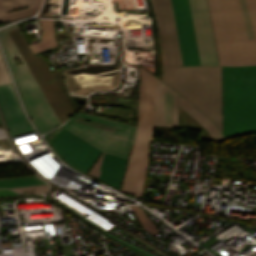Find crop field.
I'll use <instances>...</instances> for the list:
<instances>
[{
	"label": "crop field",
	"instance_id": "412701ff",
	"mask_svg": "<svg viewBox=\"0 0 256 256\" xmlns=\"http://www.w3.org/2000/svg\"><path fill=\"white\" fill-rule=\"evenodd\" d=\"M202 65H219L206 0H189ZM188 0H171L184 65H201Z\"/></svg>",
	"mask_w": 256,
	"mask_h": 256
},
{
	"label": "crop field",
	"instance_id": "8a807250",
	"mask_svg": "<svg viewBox=\"0 0 256 256\" xmlns=\"http://www.w3.org/2000/svg\"><path fill=\"white\" fill-rule=\"evenodd\" d=\"M77 117L115 127L117 130L113 133L73 121ZM63 127L103 152L122 161H126L135 128L84 113L69 119ZM64 128L50 144L66 162L86 173L102 151Z\"/></svg>",
	"mask_w": 256,
	"mask_h": 256
},
{
	"label": "crop field",
	"instance_id": "dd49c442",
	"mask_svg": "<svg viewBox=\"0 0 256 256\" xmlns=\"http://www.w3.org/2000/svg\"><path fill=\"white\" fill-rule=\"evenodd\" d=\"M154 84L155 79L140 69L137 131L121 189L134 196H141L144 190L152 131Z\"/></svg>",
	"mask_w": 256,
	"mask_h": 256
},
{
	"label": "crop field",
	"instance_id": "d8731c3e",
	"mask_svg": "<svg viewBox=\"0 0 256 256\" xmlns=\"http://www.w3.org/2000/svg\"><path fill=\"white\" fill-rule=\"evenodd\" d=\"M0 107L12 135L32 130L25 119L11 85L0 87Z\"/></svg>",
	"mask_w": 256,
	"mask_h": 256
},
{
	"label": "crop field",
	"instance_id": "34b2d1b8",
	"mask_svg": "<svg viewBox=\"0 0 256 256\" xmlns=\"http://www.w3.org/2000/svg\"><path fill=\"white\" fill-rule=\"evenodd\" d=\"M256 132V66L223 67V133Z\"/></svg>",
	"mask_w": 256,
	"mask_h": 256
},
{
	"label": "crop field",
	"instance_id": "f4fd0767",
	"mask_svg": "<svg viewBox=\"0 0 256 256\" xmlns=\"http://www.w3.org/2000/svg\"><path fill=\"white\" fill-rule=\"evenodd\" d=\"M163 82L198 107L221 130V67H164Z\"/></svg>",
	"mask_w": 256,
	"mask_h": 256
},
{
	"label": "crop field",
	"instance_id": "28ad6ade",
	"mask_svg": "<svg viewBox=\"0 0 256 256\" xmlns=\"http://www.w3.org/2000/svg\"><path fill=\"white\" fill-rule=\"evenodd\" d=\"M131 210L133 211L135 217L141 224L142 228L148 231L150 234H155L158 232L157 228L155 225L149 220V218L144 214L142 209L136 207V206H131Z\"/></svg>",
	"mask_w": 256,
	"mask_h": 256
},
{
	"label": "crop field",
	"instance_id": "3316defc",
	"mask_svg": "<svg viewBox=\"0 0 256 256\" xmlns=\"http://www.w3.org/2000/svg\"><path fill=\"white\" fill-rule=\"evenodd\" d=\"M38 178L36 176H30L12 179H0V188H17L46 184Z\"/></svg>",
	"mask_w": 256,
	"mask_h": 256
},
{
	"label": "crop field",
	"instance_id": "22f410ed",
	"mask_svg": "<svg viewBox=\"0 0 256 256\" xmlns=\"http://www.w3.org/2000/svg\"><path fill=\"white\" fill-rule=\"evenodd\" d=\"M1 57H0V85H4V84H9L11 82L9 80L8 74L6 72V69Z\"/></svg>",
	"mask_w": 256,
	"mask_h": 256
},
{
	"label": "crop field",
	"instance_id": "e52e79f7",
	"mask_svg": "<svg viewBox=\"0 0 256 256\" xmlns=\"http://www.w3.org/2000/svg\"><path fill=\"white\" fill-rule=\"evenodd\" d=\"M153 125L176 126L177 93L156 80ZM179 106L199 122L213 140H224L214 124L179 97Z\"/></svg>",
	"mask_w": 256,
	"mask_h": 256
},
{
	"label": "crop field",
	"instance_id": "5a996713",
	"mask_svg": "<svg viewBox=\"0 0 256 256\" xmlns=\"http://www.w3.org/2000/svg\"><path fill=\"white\" fill-rule=\"evenodd\" d=\"M38 20L42 29V36H41V42L30 44V47L33 53L40 52L57 45L55 42L54 31H53L54 20H46V19H38Z\"/></svg>",
	"mask_w": 256,
	"mask_h": 256
},
{
	"label": "crop field",
	"instance_id": "5142ce71",
	"mask_svg": "<svg viewBox=\"0 0 256 256\" xmlns=\"http://www.w3.org/2000/svg\"><path fill=\"white\" fill-rule=\"evenodd\" d=\"M18 195L11 190H0V196Z\"/></svg>",
	"mask_w": 256,
	"mask_h": 256
},
{
	"label": "crop field",
	"instance_id": "cbeb9de0",
	"mask_svg": "<svg viewBox=\"0 0 256 256\" xmlns=\"http://www.w3.org/2000/svg\"><path fill=\"white\" fill-rule=\"evenodd\" d=\"M29 189H36L35 193L47 192L48 191V185L28 187V188H18V189H13V190L23 194L22 190H29Z\"/></svg>",
	"mask_w": 256,
	"mask_h": 256
},
{
	"label": "crop field",
	"instance_id": "d1516ede",
	"mask_svg": "<svg viewBox=\"0 0 256 256\" xmlns=\"http://www.w3.org/2000/svg\"><path fill=\"white\" fill-rule=\"evenodd\" d=\"M240 8H241V13L243 17V22L246 30V35L248 41H253L255 40L252 26H251V21L248 13V8L245 0H239Z\"/></svg>",
	"mask_w": 256,
	"mask_h": 256
},
{
	"label": "crop field",
	"instance_id": "ac0d7876",
	"mask_svg": "<svg viewBox=\"0 0 256 256\" xmlns=\"http://www.w3.org/2000/svg\"><path fill=\"white\" fill-rule=\"evenodd\" d=\"M256 38V0H246ZM221 65H256V41L247 42L238 0H209Z\"/></svg>",
	"mask_w": 256,
	"mask_h": 256
}]
</instances>
